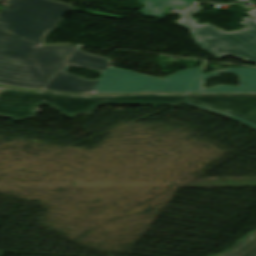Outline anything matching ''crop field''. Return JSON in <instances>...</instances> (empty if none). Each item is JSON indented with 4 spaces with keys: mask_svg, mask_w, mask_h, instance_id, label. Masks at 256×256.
I'll use <instances>...</instances> for the list:
<instances>
[{
    "mask_svg": "<svg viewBox=\"0 0 256 256\" xmlns=\"http://www.w3.org/2000/svg\"><path fill=\"white\" fill-rule=\"evenodd\" d=\"M48 81L42 89L85 93H134V92H190V93H256V68H231L213 71L203 75L201 68L180 70L162 79L146 76L133 71L110 67L108 58L85 53L69 46L37 47L32 56ZM92 68L102 71L99 80H86L64 72L69 65ZM220 73H236L240 77L239 87L219 85L203 88L204 79Z\"/></svg>",
    "mask_w": 256,
    "mask_h": 256,
    "instance_id": "1",
    "label": "crop field"
},
{
    "mask_svg": "<svg viewBox=\"0 0 256 256\" xmlns=\"http://www.w3.org/2000/svg\"><path fill=\"white\" fill-rule=\"evenodd\" d=\"M8 2L0 11V84L41 89L47 80L29 57L72 6L54 0Z\"/></svg>",
    "mask_w": 256,
    "mask_h": 256,
    "instance_id": "2",
    "label": "crop field"
},
{
    "mask_svg": "<svg viewBox=\"0 0 256 256\" xmlns=\"http://www.w3.org/2000/svg\"><path fill=\"white\" fill-rule=\"evenodd\" d=\"M195 94L136 93L124 95H71L46 91H27L5 87L0 94V115L15 121L34 116L46 104L67 117L92 112L104 103L180 105Z\"/></svg>",
    "mask_w": 256,
    "mask_h": 256,
    "instance_id": "3",
    "label": "crop field"
},
{
    "mask_svg": "<svg viewBox=\"0 0 256 256\" xmlns=\"http://www.w3.org/2000/svg\"><path fill=\"white\" fill-rule=\"evenodd\" d=\"M201 10L200 7L190 8L182 13L175 24L190 30L194 43L215 57L220 59L231 55L256 64V20L248 16L243 18V30L225 32L210 24L196 25L198 20L189 15ZM185 17H189L185 19Z\"/></svg>",
    "mask_w": 256,
    "mask_h": 256,
    "instance_id": "4",
    "label": "crop field"
},
{
    "mask_svg": "<svg viewBox=\"0 0 256 256\" xmlns=\"http://www.w3.org/2000/svg\"><path fill=\"white\" fill-rule=\"evenodd\" d=\"M184 103L229 116L256 129V94H197Z\"/></svg>",
    "mask_w": 256,
    "mask_h": 256,
    "instance_id": "5",
    "label": "crop field"
},
{
    "mask_svg": "<svg viewBox=\"0 0 256 256\" xmlns=\"http://www.w3.org/2000/svg\"><path fill=\"white\" fill-rule=\"evenodd\" d=\"M146 6L137 13L142 16L162 18L165 6H189L196 0H139Z\"/></svg>",
    "mask_w": 256,
    "mask_h": 256,
    "instance_id": "6",
    "label": "crop field"
},
{
    "mask_svg": "<svg viewBox=\"0 0 256 256\" xmlns=\"http://www.w3.org/2000/svg\"><path fill=\"white\" fill-rule=\"evenodd\" d=\"M216 256H256V231L228 251Z\"/></svg>",
    "mask_w": 256,
    "mask_h": 256,
    "instance_id": "7",
    "label": "crop field"
},
{
    "mask_svg": "<svg viewBox=\"0 0 256 256\" xmlns=\"http://www.w3.org/2000/svg\"><path fill=\"white\" fill-rule=\"evenodd\" d=\"M253 12V13H250V12ZM249 14H251L252 16L256 17V9L254 10H250V11H247Z\"/></svg>",
    "mask_w": 256,
    "mask_h": 256,
    "instance_id": "8",
    "label": "crop field"
},
{
    "mask_svg": "<svg viewBox=\"0 0 256 256\" xmlns=\"http://www.w3.org/2000/svg\"><path fill=\"white\" fill-rule=\"evenodd\" d=\"M3 88H4V87L0 86V93L2 92Z\"/></svg>",
    "mask_w": 256,
    "mask_h": 256,
    "instance_id": "9",
    "label": "crop field"
},
{
    "mask_svg": "<svg viewBox=\"0 0 256 256\" xmlns=\"http://www.w3.org/2000/svg\"><path fill=\"white\" fill-rule=\"evenodd\" d=\"M2 254V252H0V255Z\"/></svg>",
    "mask_w": 256,
    "mask_h": 256,
    "instance_id": "10",
    "label": "crop field"
}]
</instances>
